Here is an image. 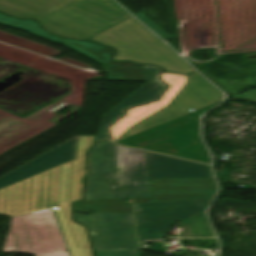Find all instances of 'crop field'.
I'll return each mask as SVG.
<instances>
[{
	"label": "crop field",
	"mask_w": 256,
	"mask_h": 256,
	"mask_svg": "<svg viewBox=\"0 0 256 256\" xmlns=\"http://www.w3.org/2000/svg\"><path fill=\"white\" fill-rule=\"evenodd\" d=\"M94 136H78L75 159L0 189V215L14 217L82 199L86 151Z\"/></svg>",
	"instance_id": "crop-field-1"
},
{
	"label": "crop field",
	"mask_w": 256,
	"mask_h": 256,
	"mask_svg": "<svg viewBox=\"0 0 256 256\" xmlns=\"http://www.w3.org/2000/svg\"><path fill=\"white\" fill-rule=\"evenodd\" d=\"M0 11L34 18L48 31L81 39L129 17L111 0H0Z\"/></svg>",
	"instance_id": "crop-field-2"
},
{
	"label": "crop field",
	"mask_w": 256,
	"mask_h": 256,
	"mask_svg": "<svg viewBox=\"0 0 256 256\" xmlns=\"http://www.w3.org/2000/svg\"><path fill=\"white\" fill-rule=\"evenodd\" d=\"M89 165L86 200L150 197L144 152L99 142L89 151Z\"/></svg>",
	"instance_id": "crop-field-3"
},
{
	"label": "crop field",
	"mask_w": 256,
	"mask_h": 256,
	"mask_svg": "<svg viewBox=\"0 0 256 256\" xmlns=\"http://www.w3.org/2000/svg\"><path fill=\"white\" fill-rule=\"evenodd\" d=\"M145 28V27H144ZM131 17L89 38L113 47V60H130L138 64H154L166 72L188 74L193 71L169 48Z\"/></svg>",
	"instance_id": "crop-field-4"
},
{
	"label": "crop field",
	"mask_w": 256,
	"mask_h": 256,
	"mask_svg": "<svg viewBox=\"0 0 256 256\" xmlns=\"http://www.w3.org/2000/svg\"><path fill=\"white\" fill-rule=\"evenodd\" d=\"M213 105L117 143L209 163L198 137V115Z\"/></svg>",
	"instance_id": "crop-field-5"
},
{
	"label": "crop field",
	"mask_w": 256,
	"mask_h": 256,
	"mask_svg": "<svg viewBox=\"0 0 256 256\" xmlns=\"http://www.w3.org/2000/svg\"><path fill=\"white\" fill-rule=\"evenodd\" d=\"M2 251L68 256L52 211L11 218Z\"/></svg>",
	"instance_id": "crop-field-6"
},
{
	"label": "crop field",
	"mask_w": 256,
	"mask_h": 256,
	"mask_svg": "<svg viewBox=\"0 0 256 256\" xmlns=\"http://www.w3.org/2000/svg\"><path fill=\"white\" fill-rule=\"evenodd\" d=\"M210 198L134 204L140 241L165 239L176 219H188L204 210Z\"/></svg>",
	"instance_id": "crop-field-7"
},
{
	"label": "crop field",
	"mask_w": 256,
	"mask_h": 256,
	"mask_svg": "<svg viewBox=\"0 0 256 256\" xmlns=\"http://www.w3.org/2000/svg\"><path fill=\"white\" fill-rule=\"evenodd\" d=\"M187 78L188 82L177 94V96L172 100L169 106L161 109L157 113L135 124L123 135H121L118 140H116H122L129 136L182 116L190 112L189 110L192 108L197 110L203 106L222 99L221 92H219L212 85H210L198 73L195 72L187 76Z\"/></svg>",
	"instance_id": "crop-field-8"
},
{
	"label": "crop field",
	"mask_w": 256,
	"mask_h": 256,
	"mask_svg": "<svg viewBox=\"0 0 256 256\" xmlns=\"http://www.w3.org/2000/svg\"><path fill=\"white\" fill-rule=\"evenodd\" d=\"M77 221L90 227L95 252L139 249L134 232L133 215L95 212L75 213Z\"/></svg>",
	"instance_id": "crop-field-9"
},
{
	"label": "crop field",
	"mask_w": 256,
	"mask_h": 256,
	"mask_svg": "<svg viewBox=\"0 0 256 256\" xmlns=\"http://www.w3.org/2000/svg\"><path fill=\"white\" fill-rule=\"evenodd\" d=\"M59 44L68 46L102 64L108 74L107 80L147 81L153 76L144 71L140 66L130 62H110L108 59L113 54V50L93 42L62 39Z\"/></svg>",
	"instance_id": "crop-field-10"
},
{
	"label": "crop field",
	"mask_w": 256,
	"mask_h": 256,
	"mask_svg": "<svg viewBox=\"0 0 256 256\" xmlns=\"http://www.w3.org/2000/svg\"><path fill=\"white\" fill-rule=\"evenodd\" d=\"M161 78L170 85V88L164 93L162 99L159 102L149 103L146 106H138L127 111L125 117L110 127L114 141L133 124L167 106L187 82L186 76L179 74L161 73Z\"/></svg>",
	"instance_id": "crop-field-11"
},
{
	"label": "crop field",
	"mask_w": 256,
	"mask_h": 256,
	"mask_svg": "<svg viewBox=\"0 0 256 256\" xmlns=\"http://www.w3.org/2000/svg\"><path fill=\"white\" fill-rule=\"evenodd\" d=\"M77 136L0 178V188L74 158Z\"/></svg>",
	"instance_id": "crop-field-12"
},
{
	"label": "crop field",
	"mask_w": 256,
	"mask_h": 256,
	"mask_svg": "<svg viewBox=\"0 0 256 256\" xmlns=\"http://www.w3.org/2000/svg\"><path fill=\"white\" fill-rule=\"evenodd\" d=\"M150 72L156 75L146 85L112 109L110 112L102 116L101 122L94 140L108 139V132L106 127L112 124L113 121L117 120L118 117L123 115V111L133 105L145 104L151 100H156L160 97L162 92L167 88L159 79L158 74L160 69L153 66H143Z\"/></svg>",
	"instance_id": "crop-field-13"
},
{
	"label": "crop field",
	"mask_w": 256,
	"mask_h": 256,
	"mask_svg": "<svg viewBox=\"0 0 256 256\" xmlns=\"http://www.w3.org/2000/svg\"><path fill=\"white\" fill-rule=\"evenodd\" d=\"M145 153L148 178L212 177L209 166Z\"/></svg>",
	"instance_id": "crop-field-14"
},
{
	"label": "crop field",
	"mask_w": 256,
	"mask_h": 256,
	"mask_svg": "<svg viewBox=\"0 0 256 256\" xmlns=\"http://www.w3.org/2000/svg\"><path fill=\"white\" fill-rule=\"evenodd\" d=\"M66 238L71 256H93L85 227L75 223L71 216V206L55 210Z\"/></svg>",
	"instance_id": "crop-field-15"
},
{
	"label": "crop field",
	"mask_w": 256,
	"mask_h": 256,
	"mask_svg": "<svg viewBox=\"0 0 256 256\" xmlns=\"http://www.w3.org/2000/svg\"><path fill=\"white\" fill-rule=\"evenodd\" d=\"M93 209H97L96 211L132 213L131 203L124 199L85 201L75 204V210L78 211H92Z\"/></svg>",
	"instance_id": "crop-field-16"
},
{
	"label": "crop field",
	"mask_w": 256,
	"mask_h": 256,
	"mask_svg": "<svg viewBox=\"0 0 256 256\" xmlns=\"http://www.w3.org/2000/svg\"><path fill=\"white\" fill-rule=\"evenodd\" d=\"M0 23L30 32L32 34H35L37 36H40L55 43H58L61 40V38H57L53 35L44 32L34 21L17 20L0 14Z\"/></svg>",
	"instance_id": "crop-field-17"
},
{
	"label": "crop field",
	"mask_w": 256,
	"mask_h": 256,
	"mask_svg": "<svg viewBox=\"0 0 256 256\" xmlns=\"http://www.w3.org/2000/svg\"><path fill=\"white\" fill-rule=\"evenodd\" d=\"M135 16L138 17L142 22H144L148 27H150L154 32H156L165 41L173 38L171 35H169L165 30H163L158 24H156L152 19H150L142 11L135 14Z\"/></svg>",
	"instance_id": "crop-field-18"
},
{
	"label": "crop field",
	"mask_w": 256,
	"mask_h": 256,
	"mask_svg": "<svg viewBox=\"0 0 256 256\" xmlns=\"http://www.w3.org/2000/svg\"><path fill=\"white\" fill-rule=\"evenodd\" d=\"M97 256H140L138 250H124L114 252H98Z\"/></svg>",
	"instance_id": "crop-field-19"
}]
</instances>
